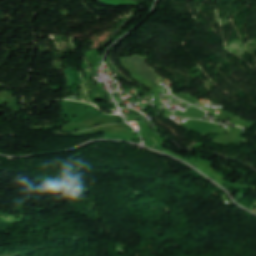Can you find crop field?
I'll return each mask as SVG.
<instances>
[{"label":"crop field","mask_w":256,"mask_h":256,"mask_svg":"<svg viewBox=\"0 0 256 256\" xmlns=\"http://www.w3.org/2000/svg\"><path fill=\"white\" fill-rule=\"evenodd\" d=\"M122 60L127 63L134 71H136L140 76L145 78L147 81L152 83L158 89H162L159 85V82L156 80V77L159 76L153 69L149 68L145 63V57L141 56H131L128 58H122Z\"/></svg>","instance_id":"crop-field-1"}]
</instances>
